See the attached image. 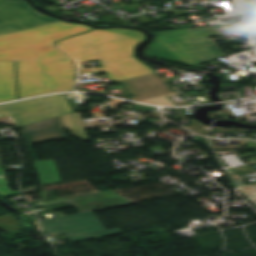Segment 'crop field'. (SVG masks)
Here are the masks:
<instances>
[{"mask_svg":"<svg viewBox=\"0 0 256 256\" xmlns=\"http://www.w3.org/2000/svg\"><path fill=\"white\" fill-rule=\"evenodd\" d=\"M64 22L0 36V102L17 99L13 60L17 59L19 99L58 91H73V63L100 60L102 68L79 69L78 74L106 73L112 83L156 73L134 58L133 49L145 39L129 29L94 30ZM63 39V40H60ZM71 58L22 61V59Z\"/></svg>","mask_w":256,"mask_h":256,"instance_id":"obj_1","label":"crop field"},{"mask_svg":"<svg viewBox=\"0 0 256 256\" xmlns=\"http://www.w3.org/2000/svg\"><path fill=\"white\" fill-rule=\"evenodd\" d=\"M154 34L156 39L147 46L145 52L149 57L193 66L225 56L210 38L216 36L212 28L160 31Z\"/></svg>","mask_w":256,"mask_h":256,"instance_id":"obj_2","label":"crop field"},{"mask_svg":"<svg viewBox=\"0 0 256 256\" xmlns=\"http://www.w3.org/2000/svg\"><path fill=\"white\" fill-rule=\"evenodd\" d=\"M73 112L63 95L0 106V117L10 116L18 127Z\"/></svg>","mask_w":256,"mask_h":256,"instance_id":"obj_3","label":"crop field"},{"mask_svg":"<svg viewBox=\"0 0 256 256\" xmlns=\"http://www.w3.org/2000/svg\"><path fill=\"white\" fill-rule=\"evenodd\" d=\"M77 217H81V219L58 222ZM41 222L44 232L57 235L64 234L74 242L122 233L119 229L107 230L93 212Z\"/></svg>","mask_w":256,"mask_h":256,"instance_id":"obj_4","label":"crop field"},{"mask_svg":"<svg viewBox=\"0 0 256 256\" xmlns=\"http://www.w3.org/2000/svg\"><path fill=\"white\" fill-rule=\"evenodd\" d=\"M56 21L33 10L25 0H0V35Z\"/></svg>","mask_w":256,"mask_h":256,"instance_id":"obj_5","label":"crop field"},{"mask_svg":"<svg viewBox=\"0 0 256 256\" xmlns=\"http://www.w3.org/2000/svg\"><path fill=\"white\" fill-rule=\"evenodd\" d=\"M21 132L29 144L66 138L59 117L24 127Z\"/></svg>","mask_w":256,"mask_h":256,"instance_id":"obj_6","label":"crop field"},{"mask_svg":"<svg viewBox=\"0 0 256 256\" xmlns=\"http://www.w3.org/2000/svg\"><path fill=\"white\" fill-rule=\"evenodd\" d=\"M157 75L153 74L123 80L122 82L127 87L132 97L171 87Z\"/></svg>","mask_w":256,"mask_h":256,"instance_id":"obj_7","label":"crop field"},{"mask_svg":"<svg viewBox=\"0 0 256 256\" xmlns=\"http://www.w3.org/2000/svg\"><path fill=\"white\" fill-rule=\"evenodd\" d=\"M34 164L42 186L62 183L53 160Z\"/></svg>","mask_w":256,"mask_h":256,"instance_id":"obj_8","label":"crop field"},{"mask_svg":"<svg viewBox=\"0 0 256 256\" xmlns=\"http://www.w3.org/2000/svg\"><path fill=\"white\" fill-rule=\"evenodd\" d=\"M61 119L64 123L66 129L71 130L72 135L86 141L88 136L84 128L82 114L80 113H70L64 116H61Z\"/></svg>","mask_w":256,"mask_h":256,"instance_id":"obj_9","label":"crop field"},{"mask_svg":"<svg viewBox=\"0 0 256 256\" xmlns=\"http://www.w3.org/2000/svg\"><path fill=\"white\" fill-rule=\"evenodd\" d=\"M0 229L9 232L21 229L19 220L11 213L0 216Z\"/></svg>","mask_w":256,"mask_h":256,"instance_id":"obj_10","label":"crop field"},{"mask_svg":"<svg viewBox=\"0 0 256 256\" xmlns=\"http://www.w3.org/2000/svg\"><path fill=\"white\" fill-rule=\"evenodd\" d=\"M240 190L256 206V184L242 187Z\"/></svg>","mask_w":256,"mask_h":256,"instance_id":"obj_11","label":"crop field"},{"mask_svg":"<svg viewBox=\"0 0 256 256\" xmlns=\"http://www.w3.org/2000/svg\"><path fill=\"white\" fill-rule=\"evenodd\" d=\"M139 102H145V103H150V104H154V105H171L170 102L165 98L164 95L146 99V100H142Z\"/></svg>","mask_w":256,"mask_h":256,"instance_id":"obj_12","label":"crop field"},{"mask_svg":"<svg viewBox=\"0 0 256 256\" xmlns=\"http://www.w3.org/2000/svg\"><path fill=\"white\" fill-rule=\"evenodd\" d=\"M16 194H19L18 192H12L8 189V186L5 185V186H0V196L2 197H9V196H12V195H16Z\"/></svg>","mask_w":256,"mask_h":256,"instance_id":"obj_13","label":"crop field"},{"mask_svg":"<svg viewBox=\"0 0 256 256\" xmlns=\"http://www.w3.org/2000/svg\"><path fill=\"white\" fill-rule=\"evenodd\" d=\"M175 90H168V91H164V92H160V93H155V94H151V95H146V96H142V97H138V98H133V99H129V100H133V101H137V100H141V99H145V98H149V97H153V96H157V95H161V94H166V93H170V92H174Z\"/></svg>","mask_w":256,"mask_h":256,"instance_id":"obj_14","label":"crop field"},{"mask_svg":"<svg viewBox=\"0 0 256 256\" xmlns=\"http://www.w3.org/2000/svg\"><path fill=\"white\" fill-rule=\"evenodd\" d=\"M110 105L113 106L115 109H117V106L124 104V103H128L126 101H122V100H117V99H113L110 102Z\"/></svg>","mask_w":256,"mask_h":256,"instance_id":"obj_15","label":"crop field"},{"mask_svg":"<svg viewBox=\"0 0 256 256\" xmlns=\"http://www.w3.org/2000/svg\"><path fill=\"white\" fill-rule=\"evenodd\" d=\"M0 178V185L7 184L3 167L0 168Z\"/></svg>","mask_w":256,"mask_h":256,"instance_id":"obj_16","label":"crop field"},{"mask_svg":"<svg viewBox=\"0 0 256 256\" xmlns=\"http://www.w3.org/2000/svg\"><path fill=\"white\" fill-rule=\"evenodd\" d=\"M93 117H98V116H104L103 114H99V113H91Z\"/></svg>","mask_w":256,"mask_h":256,"instance_id":"obj_17","label":"crop field"},{"mask_svg":"<svg viewBox=\"0 0 256 256\" xmlns=\"http://www.w3.org/2000/svg\"><path fill=\"white\" fill-rule=\"evenodd\" d=\"M3 166L2 164V159H1V155H0V167Z\"/></svg>","mask_w":256,"mask_h":256,"instance_id":"obj_18","label":"crop field"}]
</instances>
